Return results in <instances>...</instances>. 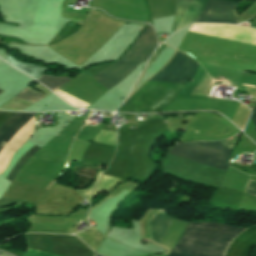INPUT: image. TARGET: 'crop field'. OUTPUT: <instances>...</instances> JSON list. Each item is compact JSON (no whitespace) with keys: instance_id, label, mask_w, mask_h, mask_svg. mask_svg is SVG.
I'll list each match as a JSON object with an SVG mask.
<instances>
[{"instance_id":"15","label":"crop field","mask_w":256,"mask_h":256,"mask_svg":"<svg viewBox=\"0 0 256 256\" xmlns=\"http://www.w3.org/2000/svg\"><path fill=\"white\" fill-rule=\"evenodd\" d=\"M93 141H98V142L116 146V133L100 130L99 134L96 136V138Z\"/></svg>"},{"instance_id":"21","label":"crop field","mask_w":256,"mask_h":256,"mask_svg":"<svg viewBox=\"0 0 256 256\" xmlns=\"http://www.w3.org/2000/svg\"><path fill=\"white\" fill-rule=\"evenodd\" d=\"M169 256H189V255L170 253Z\"/></svg>"},{"instance_id":"3","label":"crop field","mask_w":256,"mask_h":256,"mask_svg":"<svg viewBox=\"0 0 256 256\" xmlns=\"http://www.w3.org/2000/svg\"><path fill=\"white\" fill-rule=\"evenodd\" d=\"M29 248L59 256H93L94 252L84 243L72 236L27 235ZM24 256H55L29 249Z\"/></svg>"},{"instance_id":"16","label":"crop field","mask_w":256,"mask_h":256,"mask_svg":"<svg viewBox=\"0 0 256 256\" xmlns=\"http://www.w3.org/2000/svg\"><path fill=\"white\" fill-rule=\"evenodd\" d=\"M15 98H19L22 100H26L29 102H33L36 103L37 101L45 98L44 96L35 94L27 89L23 90L22 92H20L18 95L15 96Z\"/></svg>"},{"instance_id":"17","label":"crop field","mask_w":256,"mask_h":256,"mask_svg":"<svg viewBox=\"0 0 256 256\" xmlns=\"http://www.w3.org/2000/svg\"><path fill=\"white\" fill-rule=\"evenodd\" d=\"M102 174L101 171H99L95 181L93 182V184L87 188V189H84V190H76V192L83 198V200L86 198V196L92 191V189L95 187L100 175Z\"/></svg>"},{"instance_id":"6","label":"crop field","mask_w":256,"mask_h":256,"mask_svg":"<svg viewBox=\"0 0 256 256\" xmlns=\"http://www.w3.org/2000/svg\"><path fill=\"white\" fill-rule=\"evenodd\" d=\"M196 22L238 23L237 3L223 0H208Z\"/></svg>"},{"instance_id":"18","label":"crop field","mask_w":256,"mask_h":256,"mask_svg":"<svg viewBox=\"0 0 256 256\" xmlns=\"http://www.w3.org/2000/svg\"><path fill=\"white\" fill-rule=\"evenodd\" d=\"M245 193L256 197V182L250 180Z\"/></svg>"},{"instance_id":"12","label":"crop field","mask_w":256,"mask_h":256,"mask_svg":"<svg viewBox=\"0 0 256 256\" xmlns=\"http://www.w3.org/2000/svg\"><path fill=\"white\" fill-rule=\"evenodd\" d=\"M71 80V78H66L62 76H51V75H43L38 81L44 84L53 92L58 89L61 85ZM62 87V86H61Z\"/></svg>"},{"instance_id":"22","label":"crop field","mask_w":256,"mask_h":256,"mask_svg":"<svg viewBox=\"0 0 256 256\" xmlns=\"http://www.w3.org/2000/svg\"><path fill=\"white\" fill-rule=\"evenodd\" d=\"M94 256H99V255H94Z\"/></svg>"},{"instance_id":"11","label":"crop field","mask_w":256,"mask_h":256,"mask_svg":"<svg viewBox=\"0 0 256 256\" xmlns=\"http://www.w3.org/2000/svg\"><path fill=\"white\" fill-rule=\"evenodd\" d=\"M4 60L8 61L17 69L25 72L26 74H28L29 76L37 80L46 71V69L41 67L40 65H33V64L18 62L17 60L13 59L10 55H8Z\"/></svg>"},{"instance_id":"9","label":"crop field","mask_w":256,"mask_h":256,"mask_svg":"<svg viewBox=\"0 0 256 256\" xmlns=\"http://www.w3.org/2000/svg\"><path fill=\"white\" fill-rule=\"evenodd\" d=\"M33 115L34 114L18 113L0 127V153Z\"/></svg>"},{"instance_id":"7","label":"crop field","mask_w":256,"mask_h":256,"mask_svg":"<svg viewBox=\"0 0 256 256\" xmlns=\"http://www.w3.org/2000/svg\"><path fill=\"white\" fill-rule=\"evenodd\" d=\"M206 2L207 0H193V3H192V0H179L178 6H177V12L175 16L173 32L180 30L191 3L192 5L190 7V10L187 14V17L184 21L182 28L188 26L190 23H194L197 16L203 10Z\"/></svg>"},{"instance_id":"13","label":"crop field","mask_w":256,"mask_h":256,"mask_svg":"<svg viewBox=\"0 0 256 256\" xmlns=\"http://www.w3.org/2000/svg\"><path fill=\"white\" fill-rule=\"evenodd\" d=\"M40 148L37 146H33L27 153H25L14 165L11 172L7 176V179L11 180L15 177L19 169L22 167V165L32 156L34 155Z\"/></svg>"},{"instance_id":"14","label":"crop field","mask_w":256,"mask_h":256,"mask_svg":"<svg viewBox=\"0 0 256 256\" xmlns=\"http://www.w3.org/2000/svg\"><path fill=\"white\" fill-rule=\"evenodd\" d=\"M119 179L112 178L108 176L102 175L99 183L97 184L93 193L86 199L87 201L91 202V199L94 197L96 193L101 192L102 190H107L110 186L114 185Z\"/></svg>"},{"instance_id":"20","label":"crop field","mask_w":256,"mask_h":256,"mask_svg":"<svg viewBox=\"0 0 256 256\" xmlns=\"http://www.w3.org/2000/svg\"><path fill=\"white\" fill-rule=\"evenodd\" d=\"M251 120L253 121L255 127H256V105L252 110L251 116H250Z\"/></svg>"},{"instance_id":"23","label":"crop field","mask_w":256,"mask_h":256,"mask_svg":"<svg viewBox=\"0 0 256 256\" xmlns=\"http://www.w3.org/2000/svg\"><path fill=\"white\" fill-rule=\"evenodd\" d=\"M0 93H2V91H0Z\"/></svg>"},{"instance_id":"19","label":"crop field","mask_w":256,"mask_h":256,"mask_svg":"<svg viewBox=\"0 0 256 256\" xmlns=\"http://www.w3.org/2000/svg\"><path fill=\"white\" fill-rule=\"evenodd\" d=\"M15 114L17 113L0 112V126H2L5 122H7Z\"/></svg>"},{"instance_id":"2","label":"crop field","mask_w":256,"mask_h":256,"mask_svg":"<svg viewBox=\"0 0 256 256\" xmlns=\"http://www.w3.org/2000/svg\"><path fill=\"white\" fill-rule=\"evenodd\" d=\"M156 46L157 39L152 27L148 25L131 47L114 64L92 77L109 91L138 64L148 60Z\"/></svg>"},{"instance_id":"4","label":"crop field","mask_w":256,"mask_h":256,"mask_svg":"<svg viewBox=\"0 0 256 256\" xmlns=\"http://www.w3.org/2000/svg\"><path fill=\"white\" fill-rule=\"evenodd\" d=\"M233 143L193 142L175 145L168 153L226 170Z\"/></svg>"},{"instance_id":"8","label":"crop field","mask_w":256,"mask_h":256,"mask_svg":"<svg viewBox=\"0 0 256 256\" xmlns=\"http://www.w3.org/2000/svg\"><path fill=\"white\" fill-rule=\"evenodd\" d=\"M256 244V226L245 230L230 245L225 256H249L251 248Z\"/></svg>"},{"instance_id":"10","label":"crop field","mask_w":256,"mask_h":256,"mask_svg":"<svg viewBox=\"0 0 256 256\" xmlns=\"http://www.w3.org/2000/svg\"><path fill=\"white\" fill-rule=\"evenodd\" d=\"M173 219L169 218L166 213L157 212L149 222V230L151 240L155 243H159L162 236L168 229Z\"/></svg>"},{"instance_id":"5","label":"crop field","mask_w":256,"mask_h":256,"mask_svg":"<svg viewBox=\"0 0 256 256\" xmlns=\"http://www.w3.org/2000/svg\"><path fill=\"white\" fill-rule=\"evenodd\" d=\"M197 66L198 63L177 51L170 62L150 80L187 84Z\"/></svg>"},{"instance_id":"1","label":"crop field","mask_w":256,"mask_h":256,"mask_svg":"<svg viewBox=\"0 0 256 256\" xmlns=\"http://www.w3.org/2000/svg\"><path fill=\"white\" fill-rule=\"evenodd\" d=\"M243 230L220 224L190 223L172 252L223 256L230 241Z\"/></svg>"}]
</instances>
